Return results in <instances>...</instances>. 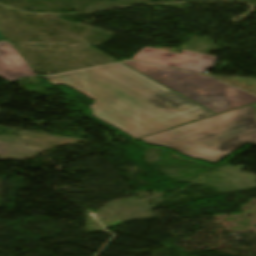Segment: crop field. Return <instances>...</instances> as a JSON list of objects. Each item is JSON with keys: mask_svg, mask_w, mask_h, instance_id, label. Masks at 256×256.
<instances>
[{"mask_svg": "<svg viewBox=\"0 0 256 256\" xmlns=\"http://www.w3.org/2000/svg\"><path fill=\"white\" fill-rule=\"evenodd\" d=\"M46 79L94 98L93 116L134 139L214 115L121 63Z\"/></svg>", "mask_w": 256, "mask_h": 256, "instance_id": "1", "label": "crop field"}, {"mask_svg": "<svg viewBox=\"0 0 256 256\" xmlns=\"http://www.w3.org/2000/svg\"><path fill=\"white\" fill-rule=\"evenodd\" d=\"M191 158L217 162L247 143L256 144V116L248 106L141 138Z\"/></svg>", "mask_w": 256, "mask_h": 256, "instance_id": "2", "label": "crop field"}, {"mask_svg": "<svg viewBox=\"0 0 256 256\" xmlns=\"http://www.w3.org/2000/svg\"><path fill=\"white\" fill-rule=\"evenodd\" d=\"M122 63L178 91L215 114L256 102V96L202 75L134 61H124Z\"/></svg>", "mask_w": 256, "mask_h": 256, "instance_id": "3", "label": "crop field"}, {"mask_svg": "<svg viewBox=\"0 0 256 256\" xmlns=\"http://www.w3.org/2000/svg\"><path fill=\"white\" fill-rule=\"evenodd\" d=\"M132 60L177 68L202 74L216 59L213 56L183 50L180 54L145 47Z\"/></svg>", "mask_w": 256, "mask_h": 256, "instance_id": "4", "label": "crop field"}, {"mask_svg": "<svg viewBox=\"0 0 256 256\" xmlns=\"http://www.w3.org/2000/svg\"><path fill=\"white\" fill-rule=\"evenodd\" d=\"M34 75L35 72L9 42H0V76L12 82Z\"/></svg>", "mask_w": 256, "mask_h": 256, "instance_id": "5", "label": "crop field"}, {"mask_svg": "<svg viewBox=\"0 0 256 256\" xmlns=\"http://www.w3.org/2000/svg\"><path fill=\"white\" fill-rule=\"evenodd\" d=\"M2 38H4V36L1 34V32H0V39H2Z\"/></svg>", "mask_w": 256, "mask_h": 256, "instance_id": "6", "label": "crop field"}]
</instances>
